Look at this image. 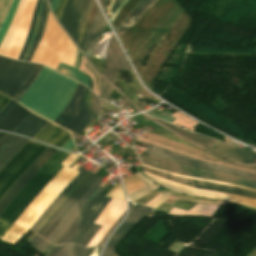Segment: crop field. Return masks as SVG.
<instances>
[{
	"label": "crop field",
	"instance_id": "crop-field-1",
	"mask_svg": "<svg viewBox=\"0 0 256 256\" xmlns=\"http://www.w3.org/2000/svg\"><path fill=\"white\" fill-rule=\"evenodd\" d=\"M77 85L78 82L44 67L19 103L53 121L66 107Z\"/></svg>",
	"mask_w": 256,
	"mask_h": 256
},
{
	"label": "crop field",
	"instance_id": "crop-field-2",
	"mask_svg": "<svg viewBox=\"0 0 256 256\" xmlns=\"http://www.w3.org/2000/svg\"><path fill=\"white\" fill-rule=\"evenodd\" d=\"M70 155L56 151L46 164L21 189L0 214V240L44 186L63 168L60 164Z\"/></svg>",
	"mask_w": 256,
	"mask_h": 256
},
{
	"label": "crop field",
	"instance_id": "crop-field-3",
	"mask_svg": "<svg viewBox=\"0 0 256 256\" xmlns=\"http://www.w3.org/2000/svg\"><path fill=\"white\" fill-rule=\"evenodd\" d=\"M174 0H159L119 39L130 59L138 53L160 24L177 8Z\"/></svg>",
	"mask_w": 256,
	"mask_h": 256
},
{
	"label": "crop field",
	"instance_id": "crop-field-4",
	"mask_svg": "<svg viewBox=\"0 0 256 256\" xmlns=\"http://www.w3.org/2000/svg\"><path fill=\"white\" fill-rule=\"evenodd\" d=\"M75 46L48 12L44 36L32 62L43 63L56 70L59 62L73 64Z\"/></svg>",
	"mask_w": 256,
	"mask_h": 256
},
{
	"label": "crop field",
	"instance_id": "crop-field-5",
	"mask_svg": "<svg viewBox=\"0 0 256 256\" xmlns=\"http://www.w3.org/2000/svg\"><path fill=\"white\" fill-rule=\"evenodd\" d=\"M191 21L188 16L181 14L171 28L161 39L159 45L154 48L148 62L140 71L139 76L147 86L157 75L160 67L171 52L172 48L189 27Z\"/></svg>",
	"mask_w": 256,
	"mask_h": 256
},
{
	"label": "crop field",
	"instance_id": "crop-field-6",
	"mask_svg": "<svg viewBox=\"0 0 256 256\" xmlns=\"http://www.w3.org/2000/svg\"><path fill=\"white\" fill-rule=\"evenodd\" d=\"M154 120L229 162L237 163L240 165L256 164V161H254L256 159V153L254 152H249L247 150L229 146L204 136L189 133L162 120Z\"/></svg>",
	"mask_w": 256,
	"mask_h": 256
},
{
	"label": "crop field",
	"instance_id": "crop-field-7",
	"mask_svg": "<svg viewBox=\"0 0 256 256\" xmlns=\"http://www.w3.org/2000/svg\"><path fill=\"white\" fill-rule=\"evenodd\" d=\"M47 148L30 141L0 172V198L26 170V168Z\"/></svg>",
	"mask_w": 256,
	"mask_h": 256
},
{
	"label": "crop field",
	"instance_id": "crop-field-8",
	"mask_svg": "<svg viewBox=\"0 0 256 256\" xmlns=\"http://www.w3.org/2000/svg\"><path fill=\"white\" fill-rule=\"evenodd\" d=\"M88 90L79 83L70 103L53 122L80 134L93 118L84 100Z\"/></svg>",
	"mask_w": 256,
	"mask_h": 256
},
{
	"label": "crop field",
	"instance_id": "crop-field-9",
	"mask_svg": "<svg viewBox=\"0 0 256 256\" xmlns=\"http://www.w3.org/2000/svg\"><path fill=\"white\" fill-rule=\"evenodd\" d=\"M140 158L143 164L156 167L162 170H166L169 172H173L181 175H187V176H194V177H201V178L213 179L218 181L230 182V183L238 184L251 189H256V182L249 181L243 178L221 174L217 172H212V171L190 168V167H186L180 164H176V163L162 160L152 156H149L148 158L140 156Z\"/></svg>",
	"mask_w": 256,
	"mask_h": 256
},
{
	"label": "crop field",
	"instance_id": "crop-field-10",
	"mask_svg": "<svg viewBox=\"0 0 256 256\" xmlns=\"http://www.w3.org/2000/svg\"><path fill=\"white\" fill-rule=\"evenodd\" d=\"M109 187L105 184L98 194L92 199L85 208L70 230L56 243H75L78 244L96 218L99 216L106 204L111 200L109 198L100 197L102 193Z\"/></svg>",
	"mask_w": 256,
	"mask_h": 256
},
{
	"label": "crop field",
	"instance_id": "crop-field-11",
	"mask_svg": "<svg viewBox=\"0 0 256 256\" xmlns=\"http://www.w3.org/2000/svg\"><path fill=\"white\" fill-rule=\"evenodd\" d=\"M136 142L146 144L141 141H136ZM146 145H148V146L145 148L144 153H147V154H151V155H154V156H157V157L169 160V161H173L176 163L186 165V166L208 169V170L231 174V175H235V176H239V177H243L246 179L256 181V174H252V173L245 172L242 170H238V169H234V168H230V167H226V166H222V165H218V164H214V163L205 162V161H202L199 159L183 156V155L177 154L175 152L163 149V148L155 146V145H149V144H146Z\"/></svg>",
	"mask_w": 256,
	"mask_h": 256
},
{
	"label": "crop field",
	"instance_id": "crop-field-12",
	"mask_svg": "<svg viewBox=\"0 0 256 256\" xmlns=\"http://www.w3.org/2000/svg\"><path fill=\"white\" fill-rule=\"evenodd\" d=\"M35 65L5 58L0 66V91L12 97L28 78Z\"/></svg>",
	"mask_w": 256,
	"mask_h": 256
},
{
	"label": "crop field",
	"instance_id": "crop-field-13",
	"mask_svg": "<svg viewBox=\"0 0 256 256\" xmlns=\"http://www.w3.org/2000/svg\"><path fill=\"white\" fill-rule=\"evenodd\" d=\"M99 179V177L92 173L87 176L80 185L64 200V202L57 208L52 216L47 220L43 227L39 230V234L42 238H46L52 229L57 225L61 218L73 207V205L87 192V190L93 185V183Z\"/></svg>",
	"mask_w": 256,
	"mask_h": 256
},
{
	"label": "crop field",
	"instance_id": "crop-field-14",
	"mask_svg": "<svg viewBox=\"0 0 256 256\" xmlns=\"http://www.w3.org/2000/svg\"><path fill=\"white\" fill-rule=\"evenodd\" d=\"M88 3L89 0H68L59 21L75 43Z\"/></svg>",
	"mask_w": 256,
	"mask_h": 256
},
{
	"label": "crop field",
	"instance_id": "crop-field-15",
	"mask_svg": "<svg viewBox=\"0 0 256 256\" xmlns=\"http://www.w3.org/2000/svg\"><path fill=\"white\" fill-rule=\"evenodd\" d=\"M35 3L36 0H26L14 37L5 53V56L16 59L18 58L19 52L25 42L29 30Z\"/></svg>",
	"mask_w": 256,
	"mask_h": 256
},
{
	"label": "crop field",
	"instance_id": "crop-field-16",
	"mask_svg": "<svg viewBox=\"0 0 256 256\" xmlns=\"http://www.w3.org/2000/svg\"><path fill=\"white\" fill-rule=\"evenodd\" d=\"M130 203V212L128 217L123 221V223L118 227V229L111 236L108 241L102 256H112L115 246L119 241L126 235V233L132 229L138 221L148 212L149 207L138 205L135 209Z\"/></svg>",
	"mask_w": 256,
	"mask_h": 256
},
{
	"label": "crop field",
	"instance_id": "crop-field-17",
	"mask_svg": "<svg viewBox=\"0 0 256 256\" xmlns=\"http://www.w3.org/2000/svg\"><path fill=\"white\" fill-rule=\"evenodd\" d=\"M57 149L48 147L33 164L20 176L14 185L0 200V213L9 201L20 191V189L33 177V175L44 165Z\"/></svg>",
	"mask_w": 256,
	"mask_h": 256
},
{
	"label": "crop field",
	"instance_id": "crop-field-18",
	"mask_svg": "<svg viewBox=\"0 0 256 256\" xmlns=\"http://www.w3.org/2000/svg\"><path fill=\"white\" fill-rule=\"evenodd\" d=\"M142 168H143V170L148 171L152 174L167 178L172 181L182 183L184 185L198 187V188L207 189V190L218 191V192L237 194V195L256 199V192L243 190V189H239V188H234V187H229V186H223V185H217V184H212V183H206V182H200V181L179 178V177L171 176L164 172L152 170V169H149V168H146L143 166H142Z\"/></svg>",
	"mask_w": 256,
	"mask_h": 256
},
{
	"label": "crop field",
	"instance_id": "crop-field-19",
	"mask_svg": "<svg viewBox=\"0 0 256 256\" xmlns=\"http://www.w3.org/2000/svg\"><path fill=\"white\" fill-rule=\"evenodd\" d=\"M126 210V202L112 199L99 218L96 220V224H100L103 227L93 237L87 247L96 246L102 236L111 227V225L118 219V217Z\"/></svg>",
	"mask_w": 256,
	"mask_h": 256
},
{
	"label": "crop field",
	"instance_id": "crop-field-20",
	"mask_svg": "<svg viewBox=\"0 0 256 256\" xmlns=\"http://www.w3.org/2000/svg\"><path fill=\"white\" fill-rule=\"evenodd\" d=\"M29 140L6 134L0 139V171Z\"/></svg>",
	"mask_w": 256,
	"mask_h": 256
},
{
	"label": "crop field",
	"instance_id": "crop-field-21",
	"mask_svg": "<svg viewBox=\"0 0 256 256\" xmlns=\"http://www.w3.org/2000/svg\"><path fill=\"white\" fill-rule=\"evenodd\" d=\"M71 138V134L64 129H61L51 123H48L35 137L34 139L55 145L60 147L68 139Z\"/></svg>",
	"mask_w": 256,
	"mask_h": 256
},
{
	"label": "crop field",
	"instance_id": "crop-field-22",
	"mask_svg": "<svg viewBox=\"0 0 256 256\" xmlns=\"http://www.w3.org/2000/svg\"><path fill=\"white\" fill-rule=\"evenodd\" d=\"M158 0H140L116 30L118 37L132 27L140 17Z\"/></svg>",
	"mask_w": 256,
	"mask_h": 256
},
{
	"label": "crop field",
	"instance_id": "crop-field-23",
	"mask_svg": "<svg viewBox=\"0 0 256 256\" xmlns=\"http://www.w3.org/2000/svg\"><path fill=\"white\" fill-rule=\"evenodd\" d=\"M101 178L97 180L94 185L89 189V191L79 200V202L67 213V215L61 220V222L54 228V230L45 239L51 244V242L59 235L71 218L76 214V212L83 206V204L88 200V198L94 193V191L102 184Z\"/></svg>",
	"mask_w": 256,
	"mask_h": 256
},
{
	"label": "crop field",
	"instance_id": "crop-field-24",
	"mask_svg": "<svg viewBox=\"0 0 256 256\" xmlns=\"http://www.w3.org/2000/svg\"><path fill=\"white\" fill-rule=\"evenodd\" d=\"M105 68L130 70L128 63L114 37H112L108 46Z\"/></svg>",
	"mask_w": 256,
	"mask_h": 256
},
{
	"label": "crop field",
	"instance_id": "crop-field-25",
	"mask_svg": "<svg viewBox=\"0 0 256 256\" xmlns=\"http://www.w3.org/2000/svg\"><path fill=\"white\" fill-rule=\"evenodd\" d=\"M100 37V36H99ZM110 33L102 34L98 42L85 41L83 51L88 58L104 60Z\"/></svg>",
	"mask_w": 256,
	"mask_h": 256
},
{
	"label": "crop field",
	"instance_id": "crop-field-26",
	"mask_svg": "<svg viewBox=\"0 0 256 256\" xmlns=\"http://www.w3.org/2000/svg\"><path fill=\"white\" fill-rule=\"evenodd\" d=\"M30 112L22 108L20 105L14 106L8 114L0 121V130L12 132L16 126L29 114Z\"/></svg>",
	"mask_w": 256,
	"mask_h": 256
},
{
	"label": "crop field",
	"instance_id": "crop-field-27",
	"mask_svg": "<svg viewBox=\"0 0 256 256\" xmlns=\"http://www.w3.org/2000/svg\"><path fill=\"white\" fill-rule=\"evenodd\" d=\"M46 123L30 113L13 132L33 138Z\"/></svg>",
	"mask_w": 256,
	"mask_h": 256
},
{
	"label": "crop field",
	"instance_id": "crop-field-28",
	"mask_svg": "<svg viewBox=\"0 0 256 256\" xmlns=\"http://www.w3.org/2000/svg\"><path fill=\"white\" fill-rule=\"evenodd\" d=\"M88 171L82 170L73 181L61 192V194L52 202V204L45 210V212L40 216V218L35 222V224L30 228L32 231H36L38 227L42 224V222L46 219V217L51 213V211L57 206V204L62 200V198L70 191V189L77 184L81 178L87 173Z\"/></svg>",
	"mask_w": 256,
	"mask_h": 256
},
{
	"label": "crop field",
	"instance_id": "crop-field-29",
	"mask_svg": "<svg viewBox=\"0 0 256 256\" xmlns=\"http://www.w3.org/2000/svg\"><path fill=\"white\" fill-rule=\"evenodd\" d=\"M105 25H106V22L101 14L99 8H97V10L93 16V19H92V22H91V25H90V28H89V31H88V34H87L85 40L96 41L99 34L103 32Z\"/></svg>",
	"mask_w": 256,
	"mask_h": 256
},
{
	"label": "crop field",
	"instance_id": "crop-field-30",
	"mask_svg": "<svg viewBox=\"0 0 256 256\" xmlns=\"http://www.w3.org/2000/svg\"><path fill=\"white\" fill-rule=\"evenodd\" d=\"M47 12H48V8H47L45 0H44L38 31H37L36 37L33 41V44H32V46L29 50V53H28L27 58H26L25 61H28V62L32 61L34 52H35V50H36V48H37V46L40 42V39L43 35V30H44V27H45V22H46V17H47Z\"/></svg>",
	"mask_w": 256,
	"mask_h": 256
},
{
	"label": "crop field",
	"instance_id": "crop-field-31",
	"mask_svg": "<svg viewBox=\"0 0 256 256\" xmlns=\"http://www.w3.org/2000/svg\"><path fill=\"white\" fill-rule=\"evenodd\" d=\"M24 2H25V0H20L18 8H17V11H16L15 16H14V18L12 20V23L10 25V28H9V30H8V32H7V34H6L5 38H4L1 46H0V55H2V56L4 55L8 45H9L11 39H12V37H13L14 31H15V27H16L17 21L19 19L20 13L22 11Z\"/></svg>",
	"mask_w": 256,
	"mask_h": 256
},
{
	"label": "crop field",
	"instance_id": "crop-field-32",
	"mask_svg": "<svg viewBox=\"0 0 256 256\" xmlns=\"http://www.w3.org/2000/svg\"><path fill=\"white\" fill-rule=\"evenodd\" d=\"M57 71L59 72H62L66 75H68L69 77L85 84L86 86L89 87V81H88V78L86 76H84L82 73H80L79 71L77 70H74L70 67H66L62 64H60L59 68L57 69Z\"/></svg>",
	"mask_w": 256,
	"mask_h": 256
},
{
	"label": "crop field",
	"instance_id": "crop-field-33",
	"mask_svg": "<svg viewBox=\"0 0 256 256\" xmlns=\"http://www.w3.org/2000/svg\"><path fill=\"white\" fill-rule=\"evenodd\" d=\"M92 248H82L76 245L68 244L61 252L56 256H84Z\"/></svg>",
	"mask_w": 256,
	"mask_h": 256
},
{
	"label": "crop field",
	"instance_id": "crop-field-34",
	"mask_svg": "<svg viewBox=\"0 0 256 256\" xmlns=\"http://www.w3.org/2000/svg\"><path fill=\"white\" fill-rule=\"evenodd\" d=\"M44 66L42 65H36L35 69L32 71L31 75L27 79V81L24 83V85L17 91L16 95L12 97L17 102L21 98V96L26 92V90L30 87V85L33 83L36 76L39 74V72L42 70Z\"/></svg>",
	"mask_w": 256,
	"mask_h": 256
},
{
	"label": "crop field",
	"instance_id": "crop-field-35",
	"mask_svg": "<svg viewBox=\"0 0 256 256\" xmlns=\"http://www.w3.org/2000/svg\"><path fill=\"white\" fill-rule=\"evenodd\" d=\"M139 0H129L125 6L122 8L120 13L117 15L115 20L113 21L112 25L116 28L119 26V24L122 22V20L125 18V16L128 14V12L133 8V6L138 2ZM136 6V5H135ZM134 6V7H135Z\"/></svg>",
	"mask_w": 256,
	"mask_h": 256
},
{
	"label": "crop field",
	"instance_id": "crop-field-36",
	"mask_svg": "<svg viewBox=\"0 0 256 256\" xmlns=\"http://www.w3.org/2000/svg\"><path fill=\"white\" fill-rule=\"evenodd\" d=\"M18 2H19V0H15L14 1V3L12 5V7H11V9H10V11H9V13H8V15H7V17H6L2 27H1V29H0V43H1L5 33L7 31V29L9 27L10 23H11V20H12V18L14 16L15 11H16Z\"/></svg>",
	"mask_w": 256,
	"mask_h": 256
},
{
	"label": "crop field",
	"instance_id": "crop-field-37",
	"mask_svg": "<svg viewBox=\"0 0 256 256\" xmlns=\"http://www.w3.org/2000/svg\"><path fill=\"white\" fill-rule=\"evenodd\" d=\"M102 188V186H101ZM100 188V189H101ZM99 189V188H98ZM97 189V190H98ZM99 189V190H100ZM95 191V193L89 198V200L84 204V206L78 211V213L72 218V220L69 222V224L65 227V229L61 232V234L55 239V241L47 248L45 251L46 253L51 249V247L68 231V229L71 227V225L74 223V221L78 218V216L81 214V212L84 210V208L87 206V204L90 202V200L95 196V194L99 191Z\"/></svg>",
	"mask_w": 256,
	"mask_h": 256
},
{
	"label": "crop field",
	"instance_id": "crop-field-38",
	"mask_svg": "<svg viewBox=\"0 0 256 256\" xmlns=\"http://www.w3.org/2000/svg\"><path fill=\"white\" fill-rule=\"evenodd\" d=\"M122 0H99L108 19Z\"/></svg>",
	"mask_w": 256,
	"mask_h": 256
},
{
	"label": "crop field",
	"instance_id": "crop-field-39",
	"mask_svg": "<svg viewBox=\"0 0 256 256\" xmlns=\"http://www.w3.org/2000/svg\"><path fill=\"white\" fill-rule=\"evenodd\" d=\"M94 3H95V0H91L89 5H88V8L86 10V13H85V16H84V20H83V23H82V26H81L78 42H77V45L79 47L81 45V41H82V37H83V34H84L85 26H86V23L88 21V18H89V15L91 13V10L93 8Z\"/></svg>",
	"mask_w": 256,
	"mask_h": 256
},
{
	"label": "crop field",
	"instance_id": "crop-field-40",
	"mask_svg": "<svg viewBox=\"0 0 256 256\" xmlns=\"http://www.w3.org/2000/svg\"><path fill=\"white\" fill-rule=\"evenodd\" d=\"M13 0H0V27L8 13Z\"/></svg>",
	"mask_w": 256,
	"mask_h": 256
},
{
	"label": "crop field",
	"instance_id": "crop-field-41",
	"mask_svg": "<svg viewBox=\"0 0 256 256\" xmlns=\"http://www.w3.org/2000/svg\"><path fill=\"white\" fill-rule=\"evenodd\" d=\"M38 5H39V0H37V3H36V7H35V11H34L32 23H31V26H30V30H29V33H28L26 42H25V44H24V46H23V48H22V51H21V53H20V56H19V58H18V59H20V60H21L22 57H23L24 51H25V49H26V46H27V44H28V41H29V39H30V37H31L32 31H33V28H34L35 19H36V14H37V10H38Z\"/></svg>",
	"mask_w": 256,
	"mask_h": 256
},
{
	"label": "crop field",
	"instance_id": "crop-field-42",
	"mask_svg": "<svg viewBox=\"0 0 256 256\" xmlns=\"http://www.w3.org/2000/svg\"><path fill=\"white\" fill-rule=\"evenodd\" d=\"M99 227H100L99 225L93 224V226L90 228V230L86 233V235L80 241L79 245L86 247V245L89 243V241L91 240L93 235L96 233V231L99 229Z\"/></svg>",
	"mask_w": 256,
	"mask_h": 256
},
{
	"label": "crop field",
	"instance_id": "crop-field-43",
	"mask_svg": "<svg viewBox=\"0 0 256 256\" xmlns=\"http://www.w3.org/2000/svg\"><path fill=\"white\" fill-rule=\"evenodd\" d=\"M113 87L109 85L104 79L102 80L101 85V95L103 98L108 99Z\"/></svg>",
	"mask_w": 256,
	"mask_h": 256
},
{
	"label": "crop field",
	"instance_id": "crop-field-44",
	"mask_svg": "<svg viewBox=\"0 0 256 256\" xmlns=\"http://www.w3.org/2000/svg\"><path fill=\"white\" fill-rule=\"evenodd\" d=\"M168 111V110H167ZM164 112V113H162V114H160V115H156V114H154L152 111H150V112H146L147 114H149V115H151V116H154V117H156V118H159V119H163V120H165V121H167V122H169V123H171L175 118L174 117H172V116H170L171 115V113H169V112Z\"/></svg>",
	"mask_w": 256,
	"mask_h": 256
},
{
	"label": "crop field",
	"instance_id": "crop-field-45",
	"mask_svg": "<svg viewBox=\"0 0 256 256\" xmlns=\"http://www.w3.org/2000/svg\"><path fill=\"white\" fill-rule=\"evenodd\" d=\"M99 108H100V100L96 95H94V99H93L90 110L95 115V117L97 119H98V115H99Z\"/></svg>",
	"mask_w": 256,
	"mask_h": 256
},
{
	"label": "crop field",
	"instance_id": "crop-field-46",
	"mask_svg": "<svg viewBox=\"0 0 256 256\" xmlns=\"http://www.w3.org/2000/svg\"><path fill=\"white\" fill-rule=\"evenodd\" d=\"M119 70H104L103 75L110 80L113 84H115L117 75Z\"/></svg>",
	"mask_w": 256,
	"mask_h": 256
},
{
	"label": "crop field",
	"instance_id": "crop-field-47",
	"mask_svg": "<svg viewBox=\"0 0 256 256\" xmlns=\"http://www.w3.org/2000/svg\"><path fill=\"white\" fill-rule=\"evenodd\" d=\"M126 211L119 217V219L112 225V227L107 231V233L104 235V237L100 240V242L97 244L98 245H103L105 240L107 239L108 235L111 233V231L117 226V224L123 219L125 216Z\"/></svg>",
	"mask_w": 256,
	"mask_h": 256
},
{
	"label": "crop field",
	"instance_id": "crop-field-48",
	"mask_svg": "<svg viewBox=\"0 0 256 256\" xmlns=\"http://www.w3.org/2000/svg\"><path fill=\"white\" fill-rule=\"evenodd\" d=\"M42 3H43V0L40 1V5H39V10H38V15H37V19H36L35 28H34V31H33L32 37H31V40H30V42H29V44H28V46H27L26 52H25L24 57H23L22 60H25L26 54H27V52H28V50H29V48H30V45H31L32 40H33V37H34V35H35V33H36L37 25H38V19H39V14H40V10H41V7H42Z\"/></svg>",
	"mask_w": 256,
	"mask_h": 256
},
{
	"label": "crop field",
	"instance_id": "crop-field-49",
	"mask_svg": "<svg viewBox=\"0 0 256 256\" xmlns=\"http://www.w3.org/2000/svg\"><path fill=\"white\" fill-rule=\"evenodd\" d=\"M16 104L14 101H10L0 112V120L6 115V113Z\"/></svg>",
	"mask_w": 256,
	"mask_h": 256
},
{
	"label": "crop field",
	"instance_id": "crop-field-50",
	"mask_svg": "<svg viewBox=\"0 0 256 256\" xmlns=\"http://www.w3.org/2000/svg\"><path fill=\"white\" fill-rule=\"evenodd\" d=\"M67 0H60L59 4H58V7L54 13L56 19L59 21V18H60V15H61V12L63 10V7L65 5Z\"/></svg>",
	"mask_w": 256,
	"mask_h": 256
},
{
	"label": "crop field",
	"instance_id": "crop-field-51",
	"mask_svg": "<svg viewBox=\"0 0 256 256\" xmlns=\"http://www.w3.org/2000/svg\"><path fill=\"white\" fill-rule=\"evenodd\" d=\"M44 240L39 237L37 234L33 237V239L29 242L32 244L35 248L39 246Z\"/></svg>",
	"mask_w": 256,
	"mask_h": 256
},
{
	"label": "crop field",
	"instance_id": "crop-field-52",
	"mask_svg": "<svg viewBox=\"0 0 256 256\" xmlns=\"http://www.w3.org/2000/svg\"><path fill=\"white\" fill-rule=\"evenodd\" d=\"M67 244L61 246H54L48 256H55L60 250H62Z\"/></svg>",
	"mask_w": 256,
	"mask_h": 256
},
{
	"label": "crop field",
	"instance_id": "crop-field-53",
	"mask_svg": "<svg viewBox=\"0 0 256 256\" xmlns=\"http://www.w3.org/2000/svg\"><path fill=\"white\" fill-rule=\"evenodd\" d=\"M74 147H75V145H74L72 138L69 141H67L63 146H61V148H64L69 151H71Z\"/></svg>",
	"mask_w": 256,
	"mask_h": 256
},
{
	"label": "crop field",
	"instance_id": "crop-field-54",
	"mask_svg": "<svg viewBox=\"0 0 256 256\" xmlns=\"http://www.w3.org/2000/svg\"><path fill=\"white\" fill-rule=\"evenodd\" d=\"M102 247H94L88 254L85 256H99Z\"/></svg>",
	"mask_w": 256,
	"mask_h": 256
},
{
	"label": "crop field",
	"instance_id": "crop-field-55",
	"mask_svg": "<svg viewBox=\"0 0 256 256\" xmlns=\"http://www.w3.org/2000/svg\"><path fill=\"white\" fill-rule=\"evenodd\" d=\"M144 186H147V185L143 182V183L138 184V185H136V186L127 188V189H126L127 194H129V193H131V192H133V191H136V190H138V189H140V188H142V187H144Z\"/></svg>",
	"mask_w": 256,
	"mask_h": 256
},
{
	"label": "crop field",
	"instance_id": "crop-field-56",
	"mask_svg": "<svg viewBox=\"0 0 256 256\" xmlns=\"http://www.w3.org/2000/svg\"><path fill=\"white\" fill-rule=\"evenodd\" d=\"M96 7H97V4H95V6H94V8H93V10H92L91 16H90V18H89V21H88V23H87L86 30H85V34H84L83 41H82L81 49L83 48L84 39H85V36H86V34H87V31H88V28H89V25H90V22H91V19H92V16H93V13H94Z\"/></svg>",
	"mask_w": 256,
	"mask_h": 256
},
{
	"label": "crop field",
	"instance_id": "crop-field-57",
	"mask_svg": "<svg viewBox=\"0 0 256 256\" xmlns=\"http://www.w3.org/2000/svg\"><path fill=\"white\" fill-rule=\"evenodd\" d=\"M11 99L0 94V110L10 101Z\"/></svg>",
	"mask_w": 256,
	"mask_h": 256
},
{
	"label": "crop field",
	"instance_id": "crop-field-58",
	"mask_svg": "<svg viewBox=\"0 0 256 256\" xmlns=\"http://www.w3.org/2000/svg\"><path fill=\"white\" fill-rule=\"evenodd\" d=\"M128 0H123L121 2V4L118 6V8L116 9V11L113 13V15L111 16V18L109 19L110 22L112 23V21L114 20V18L116 17V15L118 14L119 10L121 9V7L127 2Z\"/></svg>",
	"mask_w": 256,
	"mask_h": 256
},
{
	"label": "crop field",
	"instance_id": "crop-field-59",
	"mask_svg": "<svg viewBox=\"0 0 256 256\" xmlns=\"http://www.w3.org/2000/svg\"><path fill=\"white\" fill-rule=\"evenodd\" d=\"M50 244H48L47 242H43L39 247H37L35 250L38 252V253H42Z\"/></svg>",
	"mask_w": 256,
	"mask_h": 256
},
{
	"label": "crop field",
	"instance_id": "crop-field-60",
	"mask_svg": "<svg viewBox=\"0 0 256 256\" xmlns=\"http://www.w3.org/2000/svg\"><path fill=\"white\" fill-rule=\"evenodd\" d=\"M163 194H165V192H161L159 195H157L155 198H153L151 201H149L146 205L150 206L152 205L154 202H156Z\"/></svg>",
	"mask_w": 256,
	"mask_h": 256
},
{
	"label": "crop field",
	"instance_id": "crop-field-61",
	"mask_svg": "<svg viewBox=\"0 0 256 256\" xmlns=\"http://www.w3.org/2000/svg\"><path fill=\"white\" fill-rule=\"evenodd\" d=\"M58 2H59V0H52L51 1L50 7H51L53 13H54V11L56 9V6H57Z\"/></svg>",
	"mask_w": 256,
	"mask_h": 256
},
{
	"label": "crop field",
	"instance_id": "crop-field-62",
	"mask_svg": "<svg viewBox=\"0 0 256 256\" xmlns=\"http://www.w3.org/2000/svg\"><path fill=\"white\" fill-rule=\"evenodd\" d=\"M81 158H82V157L78 158L74 163H72V164L70 165V168H71L73 165H75Z\"/></svg>",
	"mask_w": 256,
	"mask_h": 256
},
{
	"label": "crop field",
	"instance_id": "crop-field-63",
	"mask_svg": "<svg viewBox=\"0 0 256 256\" xmlns=\"http://www.w3.org/2000/svg\"><path fill=\"white\" fill-rule=\"evenodd\" d=\"M3 60H4V57H0V64L2 63Z\"/></svg>",
	"mask_w": 256,
	"mask_h": 256
},
{
	"label": "crop field",
	"instance_id": "crop-field-64",
	"mask_svg": "<svg viewBox=\"0 0 256 256\" xmlns=\"http://www.w3.org/2000/svg\"><path fill=\"white\" fill-rule=\"evenodd\" d=\"M82 169H83V168L80 166L79 169H78V171H81Z\"/></svg>",
	"mask_w": 256,
	"mask_h": 256
},
{
	"label": "crop field",
	"instance_id": "crop-field-65",
	"mask_svg": "<svg viewBox=\"0 0 256 256\" xmlns=\"http://www.w3.org/2000/svg\"><path fill=\"white\" fill-rule=\"evenodd\" d=\"M3 135H5V134H3V133H0V138H1Z\"/></svg>",
	"mask_w": 256,
	"mask_h": 256
},
{
	"label": "crop field",
	"instance_id": "crop-field-66",
	"mask_svg": "<svg viewBox=\"0 0 256 256\" xmlns=\"http://www.w3.org/2000/svg\"><path fill=\"white\" fill-rule=\"evenodd\" d=\"M51 0H49V3H50Z\"/></svg>",
	"mask_w": 256,
	"mask_h": 256
}]
</instances>
